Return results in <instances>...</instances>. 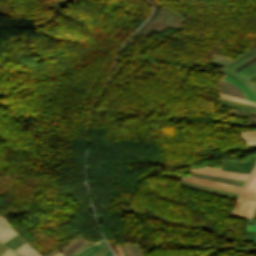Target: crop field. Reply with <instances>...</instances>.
<instances>
[{"label":"crop field","mask_w":256,"mask_h":256,"mask_svg":"<svg viewBox=\"0 0 256 256\" xmlns=\"http://www.w3.org/2000/svg\"><path fill=\"white\" fill-rule=\"evenodd\" d=\"M190 170L198 171V172H204V173H210V174H216V175H222V176H228V177H234V178H239V179H243V180H245L246 177H247L246 174L222 171V170H219V168H216V167H202L200 169L190 168Z\"/></svg>","instance_id":"34b2d1b8"},{"label":"crop field","mask_w":256,"mask_h":256,"mask_svg":"<svg viewBox=\"0 0 256 256\" xmlns=\"http://www.w3.org/2000/svg\"><path fill=\"white\" fill-rule=\"evenodd\" d=\"M250 199H256V187H255Z\"/></svg>","instance_id":"5142ce71"},{"label":"crop field","mask_w":256,"mask_h":256,"mask_svg":"<svg viewBox=\"0 0 256 256\" xmlns=\"http://www.w3.org/2000/svg\"><path fill=\"white\" fill-rule=\"evenodd\" d=\"M223 80H225V81H227L229 83L234 84L241 91L244 99L253 101L251 96H250V94H249V92L245 89V87L241 83L235 81L234 79H232V78H230V77H228L226 75L223 78Z\"/></svg>","instance_id":"e52e79f7"},{"label":"crop field","mask_w":256,"mask_h":256,"mask_svg":"<svg viewBox=\"0 0 256 256\" xmlns=\"http://www.w3.org/2000/svg\"><path fill=\"white\" fill-rule=\"evenodd\" d=\"M16 234L8 225L7 221L0 217V242H5L7 239Z\"/></svg>","instance_id":"f4fd0767"},{"label":"crop field","mask_w":256,"mask_h":256,"mask_svg":"<svg viewBox=\"0 0 256 256\" xmlns=\"http://www.w3.org/2000/svg\"><path fill=\"white\" fill-rule=\"evenodd\" d=\"M219 95H220V98H222V99H226V100H230V101H234V102H238V103H242V104H246V105L256 107V103H254V102L246 101V100H243V99L235 98V97L220 94V93H219Z\"/></svg>","instance_id":"5a996713"},{"label":"crop field","mask_w":256,"mask_h":256,"mask_svg":"<svg viewBox=\"0 0 256 256\" xmlns=\"http://www.w3.org/2000/svg\"><path fill=\"white\" fill-rule=\"evenodd\" d=\"M247 145H256V141H245Z\"/></svg>","instance_id":"d9b57169"},{"label":"crop field","mask_w":256,"mask_h":256,"mask_svg":"<svg viewBox=\"0 0 256 256\" xmlns=\"http://www.w3.org/2000/svg\"><path fill=\"white\" fill-rule=\"evenodd\" d=\"M246 231L256 232V226L255 225H246Z\"/></svg>","instance_id":"28ad6ade"},{"label":"crop field","mask_w":256,"mask_h":256,"mask_svg":"<svg viewBox=\"0 0 256 256\" xmlns=\"http://www.w3.org/2000/svg\"><path fill=\"white\" fill-rule=\"evenodd\" d=\"M106 247L103 240L98 241L96 243H93L89 247L85 248L83 251H81L76 256H91L95 252L101 250L102 248Z\"/></svg>","instance_id":"dd49c442"},{"label":"crop field","mask_w":256,"mask_h":256,"mask_svg":"<svg viewBox=\"0 0 256 256\" xmlns=\"http://www.w3.org/2000/svg\"><path fill=\"white\" fill-rule=\"evenodd\" d=\"M181 180L193 182V183H197V184H202V185H206V186H211V187H215V188H219V189H224V190H228V191H233V192H237V193H239L240 189H241L240 187H236L233 185L223 184V183L210 181V180H206V179H201V178H196V177H191V176H189L188 178L181 177Z\"/></svg>","instance_id":"ac0d7876"},{"label":"crop field","mask_w":256,"mask_h":256,"mask_svg":"<svg viewBox=\"0 0 256 256\" xmlns=\"http://www.w3.org/2000/svg\"><path fill=\"white\" fill-rule=\"evenodd\" d=\"M15 251L22 256H41L27 245H24Z\"/></svg>","instance_id":"d8731c3e"},{"label":"crop field","mask_w":256,"mask_h":256,"mask_svg":"<svg viewBox=\"0 0 256 256\" xmlns=\"http://www.w3.org/2000/svg\"><path fill=\"white\" fill-rule=\"evenodd\" d=\"M256 185V164L248 178V180L246 181L239 198H244V199H249L254 187Z\"/></svg>","instance_id":"412701ff"},{"label":"crop field","mask_w":256,"mask_h":256,"mask_svg":"<svg viewBox=\"0 0 256 256\" xmlns=\"http://www.w3.org/2000/svg\"><path fill=\"white\" fill-rule=\"evenodd\" d=\"M111 252L109 251V249L107 251H105L103 254H101L100 256H111Z\"/></svg>","instance_id":"22f410ed"},{"label":"crop field","mask_w":256,"mask_h":256,"mask_svg":"<svg viewBox=\"0 0 256 256\" xmlns=\"http://www.w3.org/2000/svg\"><path fill=\"white\" fill-rule=\"evenodd\" d=\"M17 254L14 253L12 250H8L3 256H16Z\"/></svg>","instance_id":"d1516ede"},{"label":"crop field","mask_w":256,"mask_h":256,"mask_svg":"<svg viewBox=\"0 0 256 256\" xmlns=\"http://www.w3.org/2000/svg\"><path fill=\"white\" fill-rule=\"evenodd\" d=\"M241 139H256V131L240 133Z\"/></svg>","instance_id":"3316defc"},{"label":"crop field","mask_w":256,"mask_h":256,"mask_svg":"<svg viewBox=\"0 0 256 256\" xmlns=\"http://www.w3.org/2000/svg\"><path fill=\"white\" fill-rule=\"evenodd\" d=\"M59 253V252H58ZM55 256H62L60 253L59 254H57V255H55Z\"/></svg>","instance_id":"733c2abd"},{"label":"crop field","mask_w":256,"mask_h":256,"mask_svg":"<svg viewBox=\"0 0 256 256\" xmlns=\"http://www.w3.org/2000/svg\"><path fill=\"white\" fill-rule=\"evenodd\" d=\"M115 248H116V250H117L118 255H119V256H123V253H122L120 247H115Z\"/></svg>","instance_id":"cbeb9de0"},{"label":"crop field","mask_w":256,"mask_h":256,"mask_svg":"<svg viewBox=\"0 0 256 256\" xmlns=\"http://www.w3.org/2000/svg\"><path fill=\"white\" fill-rule=\"evenodd\" d=\"M256 207V201L237 200L230 215L251 218Z\"/></svg>","instance_id":"8a807250"}]
</instances>
